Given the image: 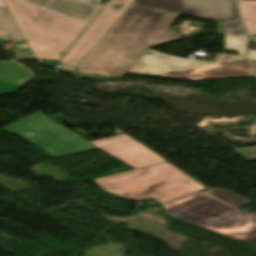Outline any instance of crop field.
Instances as JSON below:
<instances>
[{"label": "crop field", "instance_id": "8a807250", "mask_svg": "<svg viewBox=\"0 0 256 256\" xmlns=\"http://www.w3.org/2000/svg\"><path fill=\"white\" fill-rule=\"evenodd\" d=\"M180 15L131 5L77 67L82 77H124L147 48L184 39Z\"/></svg>", "mask_w": 256, "mask_h": 256}, {"label": "crop field", "instance_id": "ac0d7876", "mask_svg": "<svg viewBox=\"0 0 256 256\" xmlns=\"http://www.w3.org/2000/svg\"><path fill=\"white\" fill-rule=\"evenodd\" d=\"M106 192L132 201L163 205L206 189L169 162L94 180Z\"/></svg>", "mask_w": 256, "mask_h": 256}, {"label": "crop field", "instance_id": "34b2d1b8", "mask_svg": "<svg viewBox=\"0 0 256 256\" xmlns=\"http://www.w3.org/2000/svg\"><path fill=\"white\" fill-rule=\"evenodd\" d=\"M35 57L59 60L86 24L19 0H4Z\"/></svg>", "mask_w": 256, "mask_h": 256}, {"label": "crop field", "instance_id": "412701ff", "mask_svg": "<svg viewBox=\"0 0 256 256\" xmlns=\"http://www.w3.org/2000/svg\"><path fill=\"white\" fill-rule=\"evenodd\" d=\"M252 202L225 189H210L167 210L170 216L189 220L215 232L234 224L246 227L241 241L256 246V214L238 209Z\"/></svg>", "mask_w": 256, "mask_h": 256}, {"label": "crop field", "instance_id": "f4fd0767", "mask_svg": "<svg viewBox=\"0 0 256 256\" xmlns=\"http://www.w3.org/2000/svg\"><path fill=\"white\" fill-rule=\"evenodd\" d=\"M129 73L189 81L253 76L245 57L217 55L215 62H206L149 49Z\"/></svg>", "mask_w": 256, "mask_h": 256}, {"label": "crop field", "instance_id": "dd49c442", "mask_svg": "<svg viewBox=\"0 0 256 256\" xmlns=\"http://www.w3.org/2000/svg\"><path fill=\"white\" fill-rule=\"evenodd\" d=\"M60 125L37 112L0 130L23 137L55 158L98 150ZM30 132L35 134L31 136Z\"/></svg>", "mask_w": 256, "mask_h": 256}, {"label": "crop field", "instance_id": "e52e79f7", "mask_svg": "<svg viewBox=\"0 0 256 256\" xmlns=\"http://www.w3.org/2000/svg\"><path fill=\"white\" fill-rule=\"evenodd\" d=\"M133 4L214 22L239 19L234 0H135Z\"/></svg>", "mask_w": 256, "mask_h": 256}, {"label": "crop field", "instance_id": "d8731c3e", "mask_svg": "<svg viewBox=\"0 0 256 256\" xmlns=\"http://www.w3.org/2000/svg\"><path fill=\"white\" fill-rule=\"evenodd\" d=\"M133 1L112 0L64 57L62 60L64 67L73 71Z\"/></svg>", "mask_w": 256, "mask_h": 256}, {"label": "crop field", "instance_id": "5a996713", "mask_svg": "<svg viewBox=\"0 0 256 256\" xmlns=\"http://www.w3.org/2000/svg\"><path fill=\"white\" fill-rule=\"evenodd\" d=\"M91 143L134 169L166 162L127 134Z\"/></svg>", "mask_w": 256, "mask_h": 256}, {"label": "crop field", "instance_id": "3316defc", "mask_svg": "<svg viewBox=\"0 0 256 256\" xmlns=\"http://www.w3.org/2000/svg\"><path fill=\"white\" fill-rule=\"evenodd\" d=\"M67 18L88 24L101 7L91 0H22Z\"/></svg>", "mask_w": 256, "mask_h": 256}, {"label": "crop field", "instance_id": "28ad6ade", "mask_svg": "<svg viewBox=\"0 0 256 256\" xmlns=\"http://www.w3.org/2000/svg\"><path fill=\"white\" fill-rule=\"evenodd\" d=\"M226 50L238 51L245 55L247 37L240 21L225 23Z\"/></svg>", "mask_w": 256, "mask_h": 256}, {"label": "crop field", "instance_id": "d1516ede", "mask_svg": "<svg viewBox=\"0 0 256 256\" xmlns=\"http://www.w3.org/2000/svg\"><path fill=\"white\" fill-rule=\"evenodd\" d=\"M0 80L26 85L33 80V76L17 62H0Z\"/></svg>", "mask_w": 256, "mask_h": 256}, {"label": "crop field", "instance_id": "22f410ed", "mask_svg": "<svg viewBox=\"0 0 256 256\" xmlns=\"http://www.w3.org/2000/svg\"><path fill=\"white\" fill-rule=\"evenodd\" d=\"M24 40L8 8H0V43Z\"/></svg>", "mask_w": 256, "mask_h": 256}, {"label": "crop field", "instance_id": "cbeb9de0", "mask_svg": "<svg viewBox=\"0 0 256 256\" xmlns=\"http://www.w3.org/2000/svg\"><path fill=\"white\" fill-rule=\"evenodd\" d=\"M244 24L250 35H256V1H238Z\"/></svg>", "mask_w": 256, "mask_h": 256}, {"label": "crop field", "instance_id": "5142ce71", "mask_svg": "<svg viewBox=\"0 0 256 256\" xmlns=\"http://www.w3.org/2000/svg\"><path fill=\"white\" fill-rule=\"evenodd\" d=\"M244 227H240V226H233L231 228H228L226 230H223V231H220L218 233H221V234H224V235H227L229 237H232V238H235V239H240L243 231H244Z\"/></svg>", "mask_w": 256, "mask_h": 256}, {"label": "crop field", "instance_id": "d9b57169", "mask_svg": "<svg viewBox=\"0 0 256 256\" xmlns=\"http://www.w3.org/2000/svg\"><path fill=\"white\" fill-rule=\"evenodd\" d=\"M247 160L256 159V147L233 149Z\"/></svg>", "mask_w": 256, "mask_h": 256}, {"label": "crop field", "instance_id": "733c2abd", "mask_svg": "<svg viewBox=\"0 0 256 256\" xmlns=\"http://www.w3.org/2000/svg\"><path fill=\"white\" fill-rule=\"evenodd\" d=\"M21 88H23V87H21V86L9 85V84L0 82V96H1V95H6V94L16 93V92L19 91Z\"/></svg>", "mask_w": 256, "mask_h": 256}, {"label": "crop field", "instance_id": "4a817a6b", "mask_svg": "<svg viewBox=\"0 0 256 256\" xmlns=\"http://www.w3.org/2000/svg\"><path fill=\"white\" fill-rule=\"evenodd\" d=\"M249 55H250V58H251V60L253 62V65H254V68H255V72H256V50H249Z\"/></svg>", "mask_w": 256, "mask_h": 256}, {"label": "crop field", "instance_id": "bc2a9ffb", "mask_svg": "<svg viewBox=\"0 0 256 256\" xmlns=\"http://www.w3.org/2000/svg\"><path fill=\"white\" fill-rule=\"evenodd\" d=\"M220 33L224 34V23L218 24Z\"/></svg>", "mask_w": 256, "mask_h": 256}, {"label": "crop field", "instance_id": "214f88e0", "mask_svg": "<svg viewBox=\"0 0 256 256\" xmlns=\"http://www.w3.org/2000/svg\"><path fill=\"white\" fill-rule=\"evenodd\" d=\"M5 6L3 0H0V7Z\"/></svg>", "mask_w": 256, "mask_h": 256}]
</instances>
